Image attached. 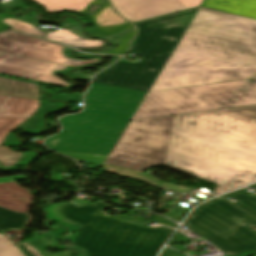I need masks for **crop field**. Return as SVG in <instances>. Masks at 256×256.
Masks as SVG:
<instances>
[{"label":"crop field","mask_w":256,"mask_h":256,"mask_svg":"<svg viewBox=\"0 0 256 256\" xmlns=\"http://www.w3.org/2000/svg\"><path fill=\"white\" fill-rule=\"evenodd\" d=\"M76 56L78 57H82V58H90L92 55H86V54H81V53H78V52H75Z\"/></svg>","instance_id":"crop-field-34"},{"label":"crop field","mask_w":256,"mask_h":256,"mask_svg":"<svg viewBox=\"0 0 256 256\" xmlns=\"http://www.w3.org/2000/svg\"><path fill=\"white\" fill-rule=\"evenodd\" d=\"M44 38L52 41H56L59 43L67 44L76 49L96 48L105 44L104 41L82 39L76 36L75 34H73L72 32H70L69 30H65V29L46 33Z\"/></svg>","instance_id":"crop-field-15"},{"label":"crop field","mask_w":256,"mask_h":256,"mask_svg":"<svg viewBox=\"0 0 256 256\" xmlns=\"http://www.w3.org/2000/svg\"><path fill=\"white\" fill-rule=\"evenodd\" d=\"M31 214L15 213L0 207V231L25 228Z\"/></svg>","instance_id":"crop-field-19"},{"label":"crop field","mask_w":256,"mask_h":256,"mask_svg":"<svg viewBox=\"0 0 256 256\" xmlns=\"http://www.w3.org/2000/svg\"><path fill=\"white\" fill-rule=\"evenodd\" d=\"M36 153L21 154L0 146V165L3 170L15 169L17 165L27 164Z\"/></svg>","instance_id":"crop-field-20"},{"label":"crop field","mask_w":256,"mask_h":256,"mask_svg":"<svg viewBox=\"0 0 256 256\" xmlns=\"http://www.w3.org/2000/svg\"><path fill=\"white\" fill-rule=\"evenodd\" d=\"M62 48V45L16 32L0 34L1 52L52 63L66 64L74 67L93 63L99 60L92 59L90 61H82L68 59L63 56Z\"/></svg>","instance_id":"crop-field-10"},{"label":"crop field","mask_w":256,"mask_h":256,"mask_svg":"<svg viewBox=\"0 0 256 256\" xmlns=\"http://www.w3.org/2000/svg\"><path fill=\"white\" fill-rule=\"evenodd\" d=\"M2 22L12 26L13 28L11 30L24 32V33H28V34H32V35H36V36H40V37H42L45 32V31L34 29L33 25H29L27 23L20 22L18 20L11 19V18H7V19L3 20Z\"/></svg>","instance_id":"crop-field-23"},{"label":"crop field","mask_w":256,"mask_h":256,"mask_svg":"<svg viewBox=\"0 0 256 256\" xmlns=\"http://www.w3.org/2000/svg\"><path fill=\"white\" fill-rule=\"evenodd\" d=\"M25 179H28V178L24 175L15 176V177H8V178H0V184L8 183V182H14V181H20V180H25Z\"/></svg>","instance_id":"crop-field-31"},{"label":"crop field","mask_w":256,"mask_h":256,"mask_svg":"<svg viewBox=\"0 0 256 256\" xmlns=\"http://www.w3.org/2000/svg\"><path fill=\"white\" fill-rule=\"evenodd\" d=\"M44 6L48 13L61 10L83 11L93 0H33Z\"/></svg>","instance_id":"crop-field-17"},{"label":"crop field","mask_w":256,"mask_h":256,"mask_svg":"<svg viewBox=\"0 0 256 256\" xmlns=\"http://www.w3.org/2000/svg\"><path fill=\"white\" fill-rule=\"evenodd\" d=\"M248 80L147 92L131 121L220 109Z\"/></svg>","instance_id":"crop-field-8"},{"label":"crop field","mask_w":256,"mask_h":256,"mask_svg":"<svg viewBox=\"0 0 256 256\" xmlns=\"http://www.w3.org/2000/svg\"><path fill=\"white\" fill-rule=\"evenodd\" d=\"M69 66L52 64L0 52V72L32 80L68 87V83L53 74Z\"/></svg>","instance_id":"crop-field-12"},{"label":"crop field","mask_w":256,"mask_h":256,"mask_svg":"<svg viewBox=\"0 0 256 256\" xmlns=\"http://www.w3.org/2000/svg\"><path fill=\"white\" fill-rule=\"evenodd\" d=\"M256 187V184H254ZM238 202L215 198L197 207L184 226L204 236L228 256L256 250V196L241 189L220 196Z\"/></svg>","instance_id":"crop-field-6"},{"label":"crop field","mask_w":256,"mask_h":256,"mask_svg":"<svg viewBox=\"0 0 256 256\" xmlns=\"http://www.w3.org/2000/svg\"><path fill=\"white\" fill-rule=\"evenodd\" d=\"M63 230L64 229L60 228L56 231L42 234L32 240L18 244V246L27 256H71L74 252L69 250L56 254H49L46 251L47 247L58 244L56 238Z\"/></svg>","instance_id":"crop-field-13"},{"label":"crop field","mask_w":256,"mask_h":256,"mask_svg":"<svg viewBox=\"0 0 256 256\" xmlns=\"http://www.w3.org/2000/svg\"><path fill=\"white\" fill-rule=\"evenodd\" d=\"M96 20L100 27L128 23L115 13L111 5L99 12Z\"/></svg>","instance_id":"crop-field-21"},{"label":"crop field","mask_w":256,"mask_h":256,"mask_svg":"<svg viewBox=\"0 0 256 256\" xmlns=\"http://www.w3.org/2000/svg\"><path fill=\"white\" fill-rule=\"evenodd\" d=\"M111 207L101 201L75 207L66 202L60 213L81 224L72 244L88 250L90 256H156L174 229H151L131 217L102 216L95 212Z\"/></svg>","instance_id":"crop-field-4"},{"label":"crop field","mask_w":256,"mask_h":256,"mask_svg":"<svg viewBox=\"0 0 256 256\" xmlns=\"http://www.w3.org/2000/svg\"><path fill=\"white\" fill-rule=\"evenodd\" d=\"M150 219L155 220V221H157L161 224H164L166 226L173 227V228H176L178 226L177 224L173 223L172 221H170L164 217H161V216L155 215V216L151 217Z\"/></svg>","instance_id":"crop-field-30"},{"label":"crop field","mask_w":256,"mask_h":256,"mask_svg":"<svg viewBox=\"0 0 256 256\" xmlns=\"http://www.w3.org/2000/svg\"><path fill=\"white\" fill-rule=\"evenodd\" d=\"M146 92L93 83L83 113L60 121L61 134L46 140L52 150L109 155Z\"/></svg>","instance_id":"crop-field-3"},{"label":"crop field","mask_w":256,"mask_h":256,"mask_svg":"<svg viewBox=\"0 0 256 256\" xmlns=\"http://www.w3.org/2000/svg\"><path fill=\"white\" fill-rule=\"evenodd\" d=\"M115 9L135 22L201 5L203 0H111Z\"/></svg>","instance_id":"crop-field-11"},{"label":"crop field","mask_w":256,"mask_h":256,"mask_svg":"<svg viewBox=\"0 0 256 256\" xmlns=\"http://www.w3.org/2000/svg\"><path fill=\"white\" fill-rule=\"evenodd\" d=\"M202 6L256 19V0H204Z\"/></svg>","instance_id":"crop-field-14"},{"label":"crop field","mask_w":256,"mask_h":256,"mask_svg":"<svg viewBox=\"0 0 256 256\" xmlns=\"http://www.w3.org/2000/svg\"><path fill=\"white\" fill-rule=\"evenodd\" d=\"M181 254L176 253L170 249H165L162 256H180Z\"/></svg>","instance_id":"crop-field-33"},{"label":"crop field","mask_w":256,"mask_h":256,"mask_svg":"<svg viewBox=\"0 0 256 256\" xmlns=\"http://www.w3.org/2000/svg\"><path fill=\"white\" fill-rule=\"evenodd\" d=\"M134 35H135V30L129 31L126 35L122 36L120 39L117 40L119 45L109 51H105V52L85 51V52H88V53H111V54L125 55L126 51L128 50V44L133 39Z\"/></svg>","instance_id":"crop-field-24"},{"label":"crop field","mask_w":256,"mask_h":256,"mask_svg":"<svg viewBox=\"0 0 256 256\" xmlns=\"http://www.w3.org/2000/svg\"><path fill=\"white\" fill-rule=\"evenodd\" d=\"M197 9L136 23L139 33L131 51L142 61L120 60L92 82L148 91Z\"/></svg>","instance_id":"crop-field-5"},{"label":"crop field","mask_w":256,"mask_h":256,"mask_svg":"<svg viewBox=\"0 0 256 256\" xmlns=\"http://www.w3.org/2000/svg\"><path fill=\"white\" fill-rule=\"evenodd\" d=\"M0 94L14 95L28 98H40L36 84L6 79L0 77Z\"/></svg>","instance_id":"crop-field-16"},{"label":"crop field","mask_w":256,"mask_h":256,"mask_svg":"<svg viewBox=\"0 0 256 256\" xmlns=\"http://www.w3.org/2000/svg\"><path fill=\"white\" fill-rule=\"evenodd\" d=\"M160 188L169 190V191H174V192H188L191 190L189 188L179 187V186L165 184V183H162Z\"/></svg>","instance_id":"crop-field-28"},{"label":"crop field","mask_w":256,"mask_h":256,"mask_svg":"<svg viewBox=\"0 0 256 256\" xmlns=\"http://www.w3.org/2000/svg\"><path fill=\"white\" fill-rule=\"evenodd\" d=\"M1 237H4V235L0 234V238H1Z\"/></svg>","instance_id":"crop-field-36"},{"label":"crop field","mask_w":256,"mask_h":256,"mask_svg":"<svg viewBox=\"0 0 256 256\" xmlns=\"http://www.w3.org/2000/svg\"><path fill=\"white\" fill-rule=\"evenodd\" d=\"M101 1H102V0H94L92 3H93V4H101ZM108 5H110L109 2H108V0H105L104 6H103L102 8H100V9H98L97 12L95 13V15H96L99 11H101L102 9H104L105 7H107ZM88 8H89V6H88L84 11L88 12V11H87ZM84 11L81 12L82 15H86V14H87V13H85ZM89 13H90V12H89ZM95 15H90V18L93 20L94 26H95V27H98L97 22H96V20H95Z\"/></svg>","instance_id":"crop-field-29"},{"label":"crop field","mask_w":256,"mask_h":256,"mask_svg":"<svg viewBox=\"0 0 256 256\" xmlns=\"http://www.w3.org/2000/svg\"><path fill=\"white\" fill-rule=\"evenodd\" d=\"M165 165L219 184V194L256 181V105L177 115Z\"/></svg>","instance_id":"crop-field-1"},{"label":"crop field","mask_w":256,"mask_h":256,"mask_svg":"<svg viewBox=\"0 0 256 256\" xmlns=\"http://www.w3.org/2000/svg\"><path fill=\"white\" fill-rule=\"evenodd\" d=\"M125 28L132 29L134 27L131 24H126V25H118V26L103 27V28H93L88 30L87 33L95 37L105 38V37L114 36L124 31Z\"/></svg>","instance_id":"crop-field-22"},{"label":"crop field","mask_w":256,"mask_h":256,"mask_svg":"<svg viewBox=\"0 0 256 256\" xmlns=\"http://www.w3.org/2000/svg\"><path fill=\"white\" fill-rule=\"evenodd\" d=\"M64 203V202H63ZM61 204V203H60ZM55 205V206H52V207H49L47 209V214L50 216V218L56 222H59L65 226H74V227H82L81 225L63 217L59 211H58V207L59 205Z\"/></svg>","instance_id":"crop-field-25"},{"label":"crop field","mask_w":256,"mask_h":256,"mask_svg":"<svg viewBox=\"0 0 256 256\" xmlns=\"http://www.w3.org/2000/svg\"><path fill=\"white\" fill-rule=\"evenodd\" d=\"M0 256H23L21 252L13 246L12 242L7 238L0 239Z\"/></svg>","instance_id":"crop-field-26"},{"label":"crop field","mask_w":256,"mask_h":256,"mask_svg":"<svg viewBox=\"0 0 256 256\" xmlns=\"http://www.w3.org/2000/svg\"><path fill=\"white\" fill-rule=\"evenodd\" d=\"M63 105L42 100L41 109L37 110L39 100L0 95V145L19 143L11 133L15 129L39 133L44 125V113L57 110Z\"/></svg>","instance_id":"crop-field-9"},{"label":"crop field","mask_w":256,"mask_h":256,"mask_svg":"<svg viewBox=\"0 0 256 256\" xmlns=\"http://www.w3.org/2000/svg\"><path fill=\"white\" fill-rule=\"evenodd\" d=\"M172 117L129 122L102 166L103 170L158 187L159 182L142 171L164 165Z\"/></svg>","instance_id":"crop-field-7"},{"label":"crop field","mask_w":256,"mask_h":256,"mask_svg":"<svg viewBox=\"0 0 256 256\" xmlns=\"http://www.w3.org/2000/svg\"><path fill=\"white\" fill-rule=\"evenodd\" d=\"M1 77H5V76H1ZM6 78H11V77H6ZM11 79H16V78H11ZM16 80H20V79H16ZM21 81H26V80H21ZM26 82H30V81H26ZM31 83H35V82H31Z\"/></svg>","instance_id":"crop-field-35"},{"label":"crop field","mask_w":256,"mask_h":256,"mask_svg":"<svg viewBox=\"0 0 256 256\" xmlns=\"http://www.w3.org/2000/svg\"><path fill=\"white\" fill-rule=\"evenodd\" d=\"M256 79V75L253 77ZM256 104V83L247 82L221 109Z\"/></svg>","instance_id":"crop-field-18"},{"label":"crop field","mask_w":256,"mask_h":256,"mask_svg":"<svg viewBox=\"0 0 256 256\" xmlns=\"http://www.w3.org/2000/svg\"><path fill=\"white\" fill-rule=\"evenodd\" d=\"M82 93H74V94H61L52 97V100H70L76 101L77 107L72 108L71 110L81 109L82 107H78V102H81Z\"/></svg>","instance_id":"crop-field-27"},{"label":"crop field","mask_w":256,"mask_h":256,"mask_svg":"<svg viewBox=\"0 0 256 256\" xmlns=\"http://www.w3.org/2000/svg\"><path fill=\"white\" fill-rule=\"evenodd\" d=\"M256 20L200 7L148 92L250 78Z\"/></svg>","instance_id":"crop-field-2"},{"label":"crop field","mask_w":256,"mask_h":256,"mask_svg":"<svg viewBox=\"0 0 256 256\" xmlns=\"http://www.w3.org/2000/svg\"><path fill=\"white\" fill-rule=\"evenodd\" d=\"M185 239L186 237L182 233H177V235L174 237L170 244L182 243L185 241Z\"/></svg>","instance_id":"crop-field-32"}]
</instances>
